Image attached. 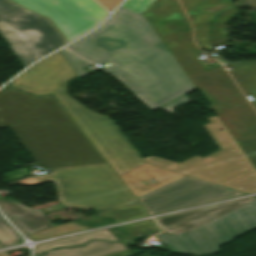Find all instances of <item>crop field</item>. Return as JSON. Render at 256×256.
Instances as JSON below:
<instances>
[{
    "mask_svg": "<svg viewBox=\"0 0 256 256\" xmlns=\"http://www.w3.org/2000/svg\"><path fill=\"white\" fill-rule=\"evenodd\" d=\"M93 239L117 240L107 230H104V231H98V232H94V233H89V234H85V235H80V236H76V237H71V238H67V239H62V240H58V241H53V242L37 245L35 247V253H41L47 249H53V248H57V247L80 245L88 240H93Z\"/></svg>",
    "mask_w": 256,
    "mask_h": 256,
    "instance_id": "crop-field-15",
    "label": "crop field"
},
{
    "mask_svg": "<svg viewBox=\"0 0 256 256\" xmlns=\"http://www.w3.org/2000/svg\"><path fill=\"white\" fill-rule=\"evenodd\" d=\"M107 10L112 11L121 0H97Z\"/></svg>",
    "mask_w": 256,
    "mask_h": 256,
    "instance_id": "crop-field-24",
    "label": "crop field"
},
{
    "mask_svg": "<svg viewBox=\"0 0 256 256\" xmlns=\"http://www.w3.org/2000/svg\"><path fill=\"white\" fill-rule=\"evenodd\" d=\"M194 27L195 41L200 49L212 47L208 41L209 23L218 14L233 7L231 0H181Z\"/></svg>",
    "mask_w": 256,
    "mask_h": 256,
    "instance_id": "crop-field-11",
    "label": "crop field"
},
{
    "mask_svg": "<svg viewBox=\"0 0 256 256\" xmlns=\"http://www.w3.org/2000/svg\"><path fill=\"white\" fill-rule=\"evenodd\" d=\"M0 209L25 236L52 226L38 210L29 209L15 201L0 200Z\"/></svg>",
    "mask_w": 256,
    "mask_h": 256,
    "instance_id": "crop-field-13",
    "label": "crop field"
},
{
    "mask_svg": "<svg viewBox=\"0 0 256 256\" xmlns=\"http://www.w3.org/2000/svg\"><path fill=\"white\" fill-rule=\"evenodd\" d=\"M238 13V8L234 7L220 15L214 22L210 23V43L212 46L227 43L226 24Z\"/></svg>",
    "mask_w": 256,
    "mask_h": 256,
    "instance_id": "crop-field-16",
    "label": "crop field"
},
{
    "mask_svg": "<svg viewBox=\"0 0 256 256\" xmlns=\"http://www.w3.org/2000/svg\"><path fill=\"white\" fill-rule=\"evenodd\" d=\"M1 247V246H0Z\"/></svg>",
    "mask_w": 256,
    "mask_h": 256,
    "instance_id": "crop-field-27",
    "label": "crop field"
},
{
    "mask_svg": "<svg viewBox=\"0 0 256 256\" xmlns=\"http://www.w3.org/2000/svg\"><path fill=\"white\" fill-rule=\"evenodd\" d=\"M53 21L69 41L95 28L108 13L94 0H12Z\"/></svg>",
    "mask_w": 256,
    "mask_h": 256,
    "instance_id": "crop-field-8",
    "label": "crop field"
},
{
    "mask_svg": "<svg viewBox=\"0 0 256 256\" xmlns=\"http://www.w3.org/2000/svg\"><path fill=\"white\" fill-rule=\"evenodd\" d=\"M147 214L143 211V209L138 205L136 199L119 206L118 208H114L102 215L103 218L110 216L115 220V222L132 219L136 217L146 216Z\"/></svg>",
    "mask_w": 256,
    "mask_h": 256,
    "instance_id": "crop-field-17",
    "label": "crop field"
},
{
    "mask_svg": "<svg viewBox=\"0 0 256 256\" xmlns=\"http://www.w3.org/2000/svg\"><path fill=\"white\" fill-rule=\"evenodd\" d=\"M87 228L88 227L77 226L74 224V222H72V223H68L60 226H52L50 228L34 233L27 237L30 239H39L43 237L56 236V235H60V234H64L72 231L87 229Z\"/></svg>",
    "mask_w": 256,
    "mask_h": 256,
    "instance_id": "crop-field-18",
    "label": "crop field"
},
{
    "mask_svg": "<svg viewBox=\"0 0 256 256\" xmlns=\"http://www.w3.org/2000/svg\"><path fill=\"white\" fill-rule=\"evenodd\" d=\"M0 34L23 67L66 44L48 20L26 10L1 20Z\"/></svg>",
    "mask_w": 256,
    "mask_h": 256,
    "instance_id": "crop-field-7",
    "label": "crop field"
},
{
    "mask_svg": "<svg viewBox=\"0 0 256 256\" xmlns=\"http://www.w3.org/2000/svg\"><path fill=\"white\" fill-rule=\"evenodd\" d=\"M25 94L45 124L10 130L34 162L44 168L105 163L53 95Z\"/></svg>",
    "mask_w": 256,
    "mask_h": 256,
    "instance_id": "crop-field-3",
    "label": "crop field"
},
{
    "mask_svg": "<svg viewBox=\"0 0 256 256\" xmlns=\"http://www.w3.org/2000/svg\"><path fill=\"white\" fill-rule=\"evenodd\" d=\"M4 219V218H3ZM0 216V245L2 247L19 243L20 235L11 228Z\"/></svg>",
    "mask_w": 256,
    "mask_h": 256,
    "instance_id": "crop-field-19",
    "label": "crop field"
},
{
    "mask_svg": "<svg viewBox=\"0 0 256 256\" xmlns=\"http://www.w3.org/2000/svg\"><path fill=\"white\" fill-rule=\"evenodd\" d=\"M0 256H8L6 252L0 253Z\"/></svg>",
    "mask_w": 256,
    "mask_h": 256,
    "instance_id": "crop-field-26",
    "label": "crop field"
},
{
    "mask_svg": "<svg viewBox=\"0 0 256 256\" xmlns=\"http://www.w3.org/2000/svg\"><path fill=\"white\" fill-rule=\"evenodd\" d=\"M132 91L151 111L196 89L143 15L120 7L97 31L66 47Z\"/></svg>",
    "mask_w": 256,
    "mask_h": 256,
    "instance_id": "crop-field-1",
    "label": "crop field"
},
{
    "mask_svg": "<svg viewBox=\"0 0 256 256\" xmlns=\"http://www.w3.org/2000/svg\"><path fill=\"white\" fill-rule=\"evenodd\" d=\"M256 198L213 206L155 219L168 234L185 233L209 220L247 204Z\"/></svg>",
    "mask_w": 256,
    "mask_h": 256,
    "instance_id": "crop-field-12",
    "label": "crop field"
},
{
    "mask_svg": "<svg viewBox=\"0 0 256 256\" xmlns=\"http://www.w3.org/2000/svg\"><path fill=\"white\" fill-rule=\"evenodd\" d=\"M43 123L24 92L5 86L0 89V127Z\"/></svg>",
    "mask_w": 256,
    "mask_h": 256,
    "instance_id": "crop-field-10",
    "label": "crop field"
},
{
    "mask_svg": "<svg viewBox=\"0 0 256 256\" xmlns=\"http://www.w3.org/2000/svg\"><path fill=\"white\" fill-rule=\"evenodd\" d=\"M253 228H256V200L185 234L158 237L170 253L200 256L220 252L219 246Z\"/></svg>",
    "mask_w": 256,
    "mask_h": 256,
    "instance_id": "crop-field-6",
    "label": "crop field"
},
{
    "mask_svg": "<svg viewBox=\"0 0 256 256\" xmlns=\"http://www.w3.org/2000/svg\"><path fill=\"white\" fill-rule=\"evenodd\" d=\"M59 52L62 54V56L65 58V60L68 62V64L71 66V68L74 70V72L77 74L79 78L88 74L81 68L90 65L89 63H87L86 61L82 60L81 58L75 56L74 54L70 53L65 49Z\"/></svg>",
    "mask_w": 256,
    "mask_h": 256,
    "instance_id": "crop-field-20",
    "label": "crop field"
},
{
    "mask_svg": "<svg viewBox=\"0 0 256 256\" xmlns=\"http://www.w3.org/2000/svg\"><path fill=\"white\" fill-rule=\"evenodd\" d=\"M123 228L127 232V234L131 237L142 234V233L145 234L148 232L158 230L151 220L123 226Z\"/></svg>",
    "mask_w": 256,
    "mask_h": 256,
    "instance_id": "crop-field-21",
    "label": "crop field"
},
{
    "mask_svg": "<svg viewBox=\"0 0 256 256\" xmlns=\"http://www.w3.org/2000/svg\"><path fill=\"white\" fill-rule=\"evenodd\" d=\"M22 10L24 9L6 0H0V20Z\"/></svg>",
    "mask_w": 256,
    "mask_h": 256,
    "instance_id": "crop-field-22",
    "label": "crop field"
},
{
    "mask_svg": "<svg viewBox=\"0 0 256 256\" xmlns=\"http://www.w3.org/2000/svg\"><path fill=\"white\" fill-rule=\"evenodd\" d=\"M74 77L57 52L31 66L9 85L35 95L54 93L136 199L186 176L146 163L110 118L73 100L66 87Z\"/></svg>",
    "mask_w": 256,
    "mask_h": 256,
    "instance_id": "crop-field-2",
    "label": "crop field"
},
{
    "mask_svg": "<svg viewBox=\"0 0 256 256\" xmlns=\"http://www.w3.org/2000/svg\"><path fill=\"white\" fill-rule=\"evenodd\" d=\"M50 181L57 187L60 203L93 210L98 215L134 199L107 164L51 169V174L14 183L33 185Z\"/></svg>",
    "mask_w": 256,
    "mask_h": 256,
    "instance_id": "crop-field-4",
    "label": "crop field"
},
{
    "mask_svg": "<svg viewBox=\"0 0 256 256\" xmlns=\"http://www.w3.org/2000/svg\"><path fill=\"white\" fill-rule=\"evenodd\" d=\"M240 5L256 8V0H241Z\"/></svg>",
    "mask_w": 256,
    "mask_h": 256,
    "instance_id": "crop-field-25",
    "label": "crop field"
},
{
    "mask_svg": "<svg viewBox=\"0 0 256 256\" xmlns=\"http://www.w3.org/2000/svg\"><path fill=\"white\" fill-rule=\"evenodd\" d=\"M189 101H191V100L185 96V97H183V98H181V99H179V100H177V101H175V102H173V103H171V104H169V105H167V106H165L161 109L173 114V109H174L175 106L188 103Z\"/></svg>",
    "mask_w": 256,
    "mask_h": 256,
    "instance_id": "crop-field-23",
    "label": "crop field"
},
{
    "mask_svg": "<svg viewBox=\"0 0 256 256\" xmlns=\"http://www.w3.org/2000/svg\"><path fill=\"white\" fill-rule=\"evenodd\" d=\"M208 120L211 124L205 125L204 128L220 151L204 159L195 156L181 164L154 156L143 159L148 163L236 190L255 192L256 170L217 116L209 117Z\"/></svg>",
    "mask_w": 256,
    "mask_h": 256,
    "instance_id": "crop-field-5",
    "label": "crop field"
},
{
    "mask_svg": "<svg viewBox=\"0 0 256 256\" xmlns=\"http://www.w3.org/2000/svg\"><path fill=\"white\" fill-rule=\"evenodd\" d=\"M123 249L126 247L121 243L94 241L75 248L48 251L37 256H103Z\"/></svg>",
    "mask_w": 256,
    "mask_h": 256,
    "instance_id": "crop-field-14",
    "label": "crop field"
},
{
    "mask_svg": "<svg viewBox=\"0 0 256 256\" xmlns=\"http://www.w3.org/2000/svg\"><path fill=\"white\" fill-rule=\"evenodd\" d=\"M246 194L187 176L138 199L149 215Z\"/></svg>",
    "mask_w": 256,
    "mask_h": 256,
    "instance_id": "crop-field-9",
    "label": "crop field"
}]
</instances>
